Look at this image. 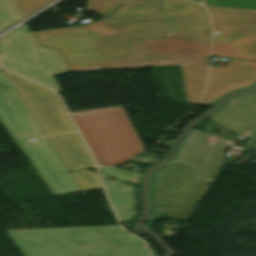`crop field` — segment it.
Segmentation results:
<instances>
[{
    "instance_id": "obj_1",
    "label": "crop field",
    "mask_w": 256,
    "mask_h": 256,
    "mask_svg": "<svg viewBox=\"0 0 256 256\" xmlns=\"http://www.w3.org/2000/svg\"><path fill=\"white\" fill-rule=\"evenodd\" d=\"M32 35L70 72L181 64L187 102L197 104L205 88L211 29L200 4L124 0L103 21Z\"/></svg>"
},
{
    "instance_id": "obj_2",
    "label": "crop field",
    "mask_w": 256,
    "mask_h": 256,
    "mask_svg": "<svg viewBox=\"0 0 256 256\" xmlns=\"http://www.w3.org/2000/svg\"><path fill=\"white\" fill-rule=\"evenodd\" d=\"M230 142L213 135L195 131L176 161L191 166L193 170L170 164L157 171L154 211H168L165 218L186 217L213 174L224 159L223 149Z\"/></svg>"
},
{
    "instance_id": "obj_3",
    "label": "crop field",
    "mask_w": 256,
    "mask_h": 256,
    "mask_svg": "<svg viewBox=\"0 0 256 256\" xmlns=\"http://www.w3.org/2000/svg\"><path fill=\"white\" fill-rule=\"evenodd\" d=\"M23 256H147L119 226L6 231Z\"/></svg>"
},
{
    "instance_id": "obj_4",
    "label": "crop field",
    "mask_w": 256,
    "mask_h": 256,
    "mask_svg": "<svg viewBox=\"0 0 256 256\" xmlns=\"http://www.w3.org/2000/svg\"><path fill=\"white\" fill-rule=\"evenodd\" d=\"M0 122L11 138L18 142L55 196L81 191L47 137L28 141L27 138L42 136L44 133L1 68Z\"/></svg>"
},
{
    "instance_id": "obj_5",
    "label": "crop field",
    "mask_w": 256,
    "mask_h": 256,
    "mask_svg": "<svg viewBox=\"0 0 256 256\" xmlns=\"http://www.w3.org/2000/svg\"><path fill=\"white\" fill-rule=\"evenodd\" d=\"M71 115L98 165H117L143 151L121 107Z\"/></svg>"
},
{
    "instance_id": "obj_6",
    "label": "crop field",
    "mask_w": 256,
    "mask_h": 256,
    "mask_svg": "<svg viewBox=\"0 0 256 256\" xmlns=\"http://www.w3.org/2000/svg\"><path fill=\"white\" fill-rule=\"evenodd\" d=\"M0 62L57 93L61 90L54 77L68 72L56 51L37 46L26 24L0 40Z\"/></svg>"
},
{
    "instance_id": "obj_7",
    "label": "crop field",
    "mask_w": 256,
    "mask_h": 256,
    "mask_svg": "<svg viewBox=\"0 0 256 256\" xmlns=\"http://www.w3.org/2000/svg\"><path fill=\"white\" fill-rule=\"evenodd\" d=\"M214 35L211 55L256 60V11L206 6Z\"/></svg>"
},
{
    "instance_id": "obj_8",
    "label": "crop field",
    "mask_w": 256,
    "mask_h": 256,
    "mask_svg": "<svg viewBox=\"0 0 256 256\" xmlns=\"http://www.w3.org/2000/svg\"><path fill=\"white\" fill-rule=\"evenodd\" d=\"M5 72L45 135L75 131L76 128L74 129L56 94L47 88Z\"/></svg>"
},
{
    "instance_id": "obj_9",
    "label": "crop field",
    "mask_w": 256,
    "mask_h": 256,
    "mask_svg": "<svg viewBox=\"0 0 256 256\" xmlns=\"http://www.w3.org/2000/svg\"><path fill=\"white\" fill-rule=\"evenodd\" d=\"M255 78L256 61L252 60L230 58L226 68L210 67L207 89L199 104L207 105L226 91L251 84Z\"/></svg>"
},
{
    "instance_id": "obj_10",
    "label": "crop field",
    "mask_w": 256,
    "mask_h": 256,
    "mask_svg": "<svg viewBox=\"0 0 256 256\" xmlns=\"http://www.w3.org/2000/svg\"><path fill=\"white\" fill-rule=\"evenodd\" d=\"M106 192L120 222L128 221L136 214V204L133 197L134 188L128 185H117L108 176L137 183L139 173L116 167H98Z\"/></svg>"
},
{
    "instance_id": "obj_11",
    "label": "crop field",
    "mask_w": 256,
    "mask_h": 256,
    "mask_svg": "<svg viewBox=\"0 0 256 256\" xmlns=\"http://www.w3.org/2000/svg\"><path fill=\"white\" fill-rule=\"evenodd\" d=\"M231 101L256 108V93L240 96ZM228 105L236 108L237 111L234 112V109L226 106L219 114L211 118V120L249 139L256 131V111L231 102H228Z\"/></svg>"
},
{
    "instance_id": "obj_12",
    "label": "crop field",
    "mask_w": 256,
    "mask_h": 256,
    "mask_svg": "<svg viewBox=\"0 0 256 256\" xmlns=\"http://www.w3.org/2000/svg\"><path fill=\"white\" fill-rule=\"evenodd\" d=\"M48 139L70 172L83 168H95V163L78 133L49 136Z\"/></svg>"
},
{
    "instance_id": "obj_13",
    "label": "crop field",
    "mask_w": 256,
    "mask_h": 256,
    "mask_svg": "<svg viewBox=\"0 0 256 256\" xmlns=\"http://www.w3.org/2000/svg\"><path fill=\"white\" fill-rule=\"evenodd\" d=\"M21 19L11 0H0V30Z\"/></svg>"
},
{
    "instance_id": "obj_14",
    "label": "crop field",
    "mask_w": 256,
    "mask_h": 256,
    "mask_svg": "<svg viewBox=\"0 0 256 256\" xmlns=\"http://www.w3.org/2000/svg\"><path fill=\"white\" fill-rule=\"evenodd\" d=\"M72 175L74 176L82 191L101 187L96 173L89 172L87 170H81L73 172Z\"/></svg>"
},
{
    "instance_id": "obj_15",
    "label": "crop field",
    "mask_w": 256,
    "mask_h": 256,
    "mask_svg": "<svg viewBox=\"0 0 256 256\" xmlns=\"http://www.w3.org/2000/svg\"><path fill=\"white\" fill-rule=\"evenodd\" d=\"M205 5L256 10V0H205Z\"/></svg>"
},
{
    "instance_id": "obj_16",
    "label": "crop field",
    "mask_w": 256,
    "mask_h": 256,
    "mask_svg": "<svg viewBox=\"0 0 256 256\" xmlns=\"http://www.w3.org/2000/svg\"><path fill=\"white\" fill-rule=\"evenodd\" d=\"M123 0H91L88 9L100 16H105L115 9Z\"/></svg>"
},
{
    "instance_id": "obj_17",
    "label": "crop field",
    "mask_w": 256,
    "mask_h": 256,
    "mask_svg": "<svg viewBox=\"0 0 256 256\" xmlns=\"http://www.w3.org/2000/svg\"><path fill=\"white\" fill-rule=\"evenodd\" d=\"M51 0H19L16 1V5L18 9L20 10L23 18L33 12L34 10L38 9L45 3L49 2Z\"/></svg>"
},
{
    "instance_id": "obj_18",
    "label": "crop field",
    "mask_w": 256,
    "mask_h": 256,
    "mask_svg": "<svg viewBox=\"0 0 256 256\" xmlns=\"http://www.w3.org/2000/svg\"><path fill=\"white\" fill-rule=\"evenodd\" d=\"M243 146L256 151V132L250 137V139L243 144Z\"/></svg>"
},
{
    "instance_id": "obj_19",
    "label": "crop field",
    "mask_w": 256,
    "mask_h": 256,
    "mask_svg": "<svg viewBox=\"0 0 256 256\" xmlns=\"http://www.w3.org/2000/svg\"><path fill=\"white\" fill-rule=\"evenodd\" d=\"M117 184H122V183L117 182Z\"/></svg>"
},
{
    "instance_id": "obj_20",
    "label": "crop field",
    "mask_w": 256,
    "mask_h": 256,
    "mask_svg": "<svg viewBox=\"0 0 256 256\" xmlns=\"http://www.w3.org/2000/svg\"><path fill=\"white\" fill-rule=\"evenodd\" d=\"M16 1V0H15Z\"/></svg>"
}]
</instances>
